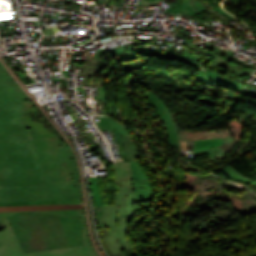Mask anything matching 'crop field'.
Returning a JSON list of instances; mask_svg holds the SVG:
<instances>
[{
  "label": "crop field",
  "mask_w": 256,
  "mask_h": 256,
  "mask_svg": "<svg viewBox=\"0 0 256 256\" xmlns=\"http://www.w3.org/2000/svg\"><path fill=\"white\" fill-rule=\"evenodd\" d=\"M134 191H142V202L156 199L150 180L137 161H130Z\"/></svg>",
  "instance_id": "e52e79f7"
},
{
  "label": "crop field",
  "mask_w": 256,
  "mask_h": 256,
  "mask_svg": "<svg viewBox=\"0 0 256 256\" xmlns=\"http://www.w3.org/2000/svg\"><path fill=\"white\" fill-rule=\"evenodd\" d=\"M98 90H99V97H100V101H101V106H102L103 113H104V115H107V114L105 113V109H104V106H103V103H107V101H106L105 88H100V87H98Z\"/></svg>",
  "instance_id": "5142ce71"
},
{
  "label": "crop field",
  "mask_w": 256,
  "mask_h": 256,
  "mask_svg": "<svg viewBox=\"0 0 256 256\" xmlns=\"http://www.w3.org/2000/svg\"><path fill=\"white\" fill-rule=\"evenodd\" d=\"M161 0H155L154 2L150 1H141L139 4L148 5V3H160Z\"/></svg>",
  "instance_id": "733c2abd"
},
{
  "label": "crop field",
  "mask_w": 256,
  "mask_h": 256,
  "mask_svg": "<svg viewBox=\"0 0 256 256\" xmlns=\"http://www.w3.org/2000/svg\"><path fill=\"white\" fill-rule=\"evenodd\" d=\"M113 256H126V255L123 252H120V253L114 254Z\"/></svg>",
  "instance_id": "bc2a9ffb"
},
{
  "label": "crop field",
  "mask_w": 256,
  "mask_h": 256,
  "mask_svg": "<svg viewBox=\"0 0 256 256\" xmlns=\"http://www.w3.org/2000/svg\"><path fill=\"white\" fill-rule=\"evenodd\" d=\"M182 146H185V145H190L192 144L191 141H186V142H181Z\"/></svg>",
  "instance_id": "4a817a6b"
},
{
  "label": "crop field",
  "mask_w": 256,
  "mask_h": 256,
  "mask_svg": "<svg viewBox=\"0 0 256 256\" xmlns=\"http://www.w3.org/2000/svg\"><path fill=\"white\" fill-rule=\"evenodd\" d=\"M233 141L232 137L212 138L192 141L193 145L185 146V151L192 150L194 156L210 153L211 161L216 160L223 154L218 145Z\"/></svg>",
  "instance_id": "dd49c442"
},
{
  "label": "crop field",
  "mask_w": 256,
  "mask_h": 256,
  "mask_svg": "<svg viewBox=\"0 0 256 256\" xmlns=\"http://www.w3.org/2000/svg\"><path fill=\"white\" fill-rule=\"evenodd\" d=\"M104 106H105V109H106V112L108 115L113 116V117H116V115H118V112L116 110V107L114 106V103L104 104Z\"/></svg>",
  "instance_id": "cbeb9de0"
},
{
  "label": "crop field",
  "mask_w": 256,
  "mask_h": 256,
  "mask_svg": "<svg viewBox=\"0 0 256 256\" xmlns=\"http://www.w3.org/2000/svg\"><path fill=\"white\" fill-rule=\"evenodd\" d=\"M35 108L0 65V203L81 198L60 137L30 140L22 111Z\"/></svg>",
  "instance_id": "8a807250"
},
{
  "label": "crop field",
  "mask_w": 256,
  "mask_h": 256,
  "mask_svg": "<svg viewBox=\"0 0 256 256\" xmlns=\"http://www.w3.org/2000/svg\"><path fill=\"white\" fill-rule=\"evenodd\" d=\"M213 62H215V63H217V64H219V65H221V66H225V64L227 63L225 60H224V58H222V57H220V56H218L217 58H215L214 60H212Z\"/></svg>",
  "instance_id": "d9b57169"
},
{
  "label": "crop field",
  "mask_w": 256,
  "mask_h": 256,
  "mask_svg": "<svg viewBox=\"0 0 256 256\" xmlns=\"http://www.w3.org/2000/svg\"><path fill=\"white\" fill-rule=\"evenodd\" d=\"M228 177L234 178L236 180L242 181L245 184L251 185L254 182L248 180L246 177H244L241 173L233 169L232 167L228 166L223 169H221Z\"/></svg>",
  "instance_id": "d1516ede"
},
{
  "label": "crop field",
  "mask_w": 256,
  "mask_h": 256,
  "mask_svg": "<svg viewBox=\"0 0 256 256\" xmlns=\"http://www.w3.org/2000/svg\"><path fill=\"white\" fill-rule=\"evenodd\" d=\"M118 192H115L117 205L94 206L100 228H108L105 242L112 254L134 248L128 236V224L135 211V203L141 202V192H122L119 176H115Z\"/></svg>",
  "instance_id": "34b2d1b8"
},
{
  "label": "crop field",
  "mask_w": 256,
  "mask_h": 256,
  "mask_svg": "<svg viewBox=\"0 0 256 256\" xmlns=\"http://www.w3.org/2000/svg\"><path fill=\"white\" fill-rule=\"evenodd\" d=\"M37 212L83 217L85 222V236L87 245L23 254L6 218V216L17 212H0V223H4L6 226V228L0 232V256H98L89 238L84 216L77 215L75 210H47Z\"/></svg>",
  "instance_id": "412701ff"
},
{
  "label": "crop field",
  "mask_w": 256,
  "mask_h": 256,
  "mask_svg": "<svg viewBox=\"0 0 256 256\" xmlns=\"http://www.w3.org/2000/svg\"><path fill=\"white\" fill-rule=\"evenodd\" d=\"M100 118L102 122H99L98 125L102 131L113 129L123 161L139 159L130 131L110 117Z\"/></svg>",
  "instance_id": "f4fd0767"
},
{
  "label": "crop field",
  "mask_w": 256,
  "mask_h": 256,
  "mask_svg": "<svg viewBox=\"0 0 256 256\" xmlns=\"http://www.w3.org/2000/svg\"><path fill=\"white\" fill-rule=\"evenodd\" d=\"M82 203L81 199L72 200H49V201H33V202H17V203H1L0 206L11 205H43V204H76Z\"/></svg>",
  "instance_id": "3316defc"
},
{
  "label": "crop field",
  "mask_w": 256,
  "mask_h": 256,
  "mask_svg": "<svg viewBox=\"0 0 256 256\" xmlns=\"http://www.w3.org/2000/svg\"><path fill=\"white\" fill-rule=\"evenodd\" d=\"M94 205H104L97 177H89Z\"/></svg>",
  "instance_id": "28ad6ade"
},
{
  "label": "crop field",
  "mask_w": 256,
  "mask_h": 256,
  "mask_svg": "<svg viewBox=\"0 0 256 256\" xmlns=\"http://www.w3.org/2000/svg\"><path fill=\"white\" fill-rule=\"evenodd\" d=\"M82 204L76 205H43V206H11L0 207V211H25V210H47V209H80Z\"/></svg>",
  "instance_id": "5a996713"
},
{
  "label": "crop field",
  "mask_w": 256,
  "mask_h": 256,
  "mask_svg": "<svg viewBox=\"0 0 256 256\" xmlns=\"http://www.w3.org/2000/svg\"><path fill=\"white\" fill-rule=\"evenodd\" d=\"M207 64H208V65H207V66L204 65V67H206V68H208V69H210V70H212V71H214V72L220 74L218 71L222 68L221 66H219V65H217V64H215V63H213V62H211V61L208 62ZM222 76H223L224 78L232 79V80H234V81H236V82H238V83H240V82L245 83V82L242 81V80H239V81H238L237 78L232 77V76L223 75V74H222Z\"/></svg>",
  "instance_id": "22f410ed"
},
{
  "label": "crop field",
  "mask_w": 256,
  "mask_h": 256,
  "mask_svg": "<svg viewBox=\"0 0 256 256\" xmlns=\"http://www.w3.org/2000/svg\"><path fill=\"white\" fill-rule=\"evenodd\" d=\"M7 218L24 253L84 244L79 218L37 212Z\"/></svg>",
  "instance_id": "ac0d7876"
},
{
  "label": "crop field",
  "mask_w": 256,
  "mask_h": 256,
  "mask_svg": "<svg viewBox=\"0 0 256 256\" xmlns=\"http://www.w3.org/2000/svg\"><path fill=\"white\" fill-rule=\"evenodd\" d=\"M246 87H248V88H250V89H252L253 90V88H256V86H254V85H249V84H246ZM245 87V88H246Z\"/></svg>",
  "instance_id": "214f88e0"
},
{
  "label": "crop field",
  "mask_w": 256,
  "mask_h": 256,
  "mask_svg": "<svg viewBox=\"0 0 256 256\" xmlns=\"http://www.w3.org/2000/svg\"><path fill=\"white\" fill-rule=\"evenodd\" d=\"M114 167V173L115 175H120L121 179V185L123 191H133V185L131 181L130 174L131 169L128 162H117V163H112Z\"/></svg>",
  "instance_id": "d8731c3e"
}]
</instances>
